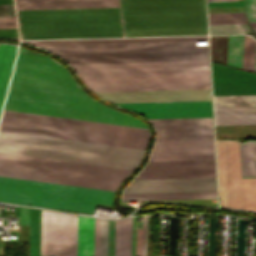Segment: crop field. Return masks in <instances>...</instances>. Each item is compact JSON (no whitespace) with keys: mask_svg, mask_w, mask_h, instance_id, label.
I'll list each match as a JSON object with an SVG mask.
<instances>
[{"mask_svg":"<svg viewBox=\"0 0 256 256\" xmlns=\"http://www.w3.org/2000/svg\"><path fill=\"white\" fill-rule=\"evenodd\" d=\"M136 256H141V228H137Z\"/></svg>","mask_w":256,"mask_h":256,"instance_id":"obj_32","label":"crop field"},{"mask_svg":"<svg viewBox=\"0 0 256 256\" xmlns=\"http://www.w3.org/2000/svg\"><path fill=\"white\" fill-rule=\"evenodd\" d=\"M216 191L215 178L133 180L124 193Z\"/></svg>","mask_w":256,"mask_h":256,"instance_id":"obj_12","label":"crop field"},{"mask_svg":"<svg viewBox=\"0 0 256 256\" xmlns=\"http://www.w3.org/2000/svg\"><path fill=\"white\" fill-rule=\"evenodd\" d=\"M132 217L115 221V256H130Z\"/></svg>","mask_w":256,"mask_h":256,"instance_id":"obj_17","label":"crop field"},{"mask_svg":"<svg viewBox=\"0 0 256 256\" xmlns=\"http://www.w3.org/2000/svg\"><path fill=\"white\" fill-rule=\"evenodd\" d=\"M216 198V192L123 194V200H169Z\"/></svg>","mask_w":256,"mask_h":256,"instance_id":"obj_15","label":"crop field"},{"mask_svg":"<svg viewBox=\"0 0 256 256\" xmlns=\"http://www.w3.org/2000/svg\"><path fill=\"white\" fill-rule=\"evenodd\" d=\"M244 209L256 211V178H242Z\"/></svg>","mask_w":256,"mask_h":256,"instance_id":"obj_23","label":"crop field"},{"mask_svg":"<svg viewBox=\"0 0 256 256\" xmlns=\"http://www.w3.org/2000/svg\"><path fill=\"white\" fill-rule=\"evenodd\" d=\"M245 11L249 21H256V0H246Z\"/></svg>","mask_w":256,"mask_h":256,"instance_id":"obj_28","label":"crop field"},{"mask_svg":"<svg viewBox=\"0 0 256 256\" xmlns=\"http://www.w3.org/2000/svg\"><path fill=\"white\" fill-rule=\"evenodd\" d=\"M253 30V32L256 34V29H252Z\"/></svg>","mask_w":256,"mask_h":256,"instance_id":"obj_35","label":"crop field"},{"mask_svg":"<svg viewBox=\"0 0 256 256\" xmlns=\"http://www.w3.org/2000/svg\"><path fill=\"white\" fill-rule=\"evenodd\" d=\"M210 34L250 33L247 24L209 25Z\"/></svg>","mask_w":256,"mask_h":256,"instance_id":"obj_26","label":"crop field"},{"mask_svg":"<svg viewBox=\"0 0 256 256\" xmlns=\"http://www.w3.org/2000/svg\"><path fill=\"white\" fill-rule=\"evenodd\" d=\"M248 36H244L242 68L246 70ZM256 41L249 36L247 70L255 72Z\"/></svg>","mask_w":256,"mask_h":256,"instance_id":"obj_24","label":"crop field"},{"mask_svg":"<svg viewBox=\"0 0 256 256\" xmlns=\"http://www.w3.org/2000/svg\"><path fill=\"white\" fill-rule=\"evenodd\" d=\"M215 177L214 160L148 162L135 179Z\"/></svg>","mask_w":256,"mask_h":256,"instance_id":"obj_6","label":"crop field"},{"mask_svg":"<svg viewBox=\"0 0 256 256\" xmlns=\"http://www.w3.org/2000/svg\"><path fill=\"white\" fill-rule=\"evenodd\" d=\"M147 216L143 217L142 256H146Z\"/></svg>","mask_w":256,"mask_h":256,"instance_id":"obj_31","label":"crop field"},{"mask_svg":"<svg viewBox=\"0 0 256 256\" xmlns=\"http://www.w3.org/2000/svg\"><path fill=\"white\" fill-rule=\"evenodd\" d=\"M207 40L206 36L25 41L31 44Z\"/></svg>","mask_w":256,"mask_h":256,"instance_id":"obj_14","label":"crop field"},{"mask_svg":"<svg viewBox=\"0 0 256 256\" xmlns=\"http://www.w3.org/2000/svg\"><path fill=\"white\" fill-rule=\"evenodd\" d=\"M147 118L212 117L211 101L116 104Z\"/></svg>","mask_w":256,"mask_h":256,"instance_id":"obj_8","label":"crop field"},{"mask_svg":"<svg viewBox=\"0 0 256 256\" xmlns=\"http://www.w3.org/2000/svg\"><path fill=\"white\" fill-rule=\"evenodd\" d=\"M15 46L0 44V111L12 68L15 52Z\"/></svg>","mask_w":256,"mask_h":256,"instance_id":"obj_16","label":"crop field"},{"mask_svg":"<svg viewBox=\"0 0 256 256\" xmlns=\"http://www.w3.org/2000/svg\"><path fill=\"white\" fill-rule=\"evenodd\" d=\"M78 256H93V218L78 216Z\"/></svg>","mask_w":256,"mask_h":256,"instance_id":"obj_18","label":"crop field"},{"mask_svg":"<svg viewBox=\"0 0 256 256\" xmlns=\"http://www.w3.org/2000/svg\"><path fill=\"white\" fill-rule=\"evenodd\" d=\"M251 28H256V23L255 22H249Z\"/></svg>","mask_w":256,"mask_h":256,"instance_id":"obj_33","label":"crop field"},{"mask_svg":"<svg viewBox=\"0 0 256 256\" xmlns=\"http://www.w3.org/2000/svg\"><path fill=\"white\" fill-rule=\"evenodd\" d=\"M243 35L229 36L228 65L241 68Z\"/></svg>","mask_w":256,"mask_h":256,"instance_id":"obj_22","label":"crop field"},{"mask_svg":"<svg viewBox=\"0 0 256 256\" xmlns=\"http://www.w3.org/2000/svg\"><path fill=\"white\" fill-rule=\"evenodd\" d=\"M242 177H256V141L240 143Z\"/></svg>","mask_w":256,"mask_h":256,"instance_id":"obj_19","label":"crop field"},{"mask_svg":"<svg viewBox=\"0 0 256 256\" xmlns=\"http://www.w3.org/2000/svg\"><path fill=\"white\" fill-rule=\"evenodd\" d=\"M243 6V1L208 2V7Z\"/></svg>","mask_w":256,"mask_h":256,"instance_id":"obj_29","label":"crop field"},{"mask_svg":"<svg viewBox=\"0 0 256 256\" xmlns=\"http://www.w3.org/2000/svg\"><path fill=\"white\" fill-rule=\"evenodd\" d=\"M17 9L119 7L118 0H15Z\"/></svg>","mask_w":256,"mask_h":256,"instance_id":"obj_13","label":"crop field"},{"mask_svg":"<svg viewBox=\"0 0 256 256\" xmlns=\"http://www.w3.org/2000/svg\"><path fill=\"white\" fill-rule=\"evenodd\" d=\"M12 89L89 98L59 63L19 53ZM9 89L7 110L136 127L143 122L94 100ZM4 110L0 130L145 149L144 128ZM0 131V152L133 170L145 150ZM0 153V176L115 191L131 172ZM0 177V201L93 213L112 206L113 193Z\"/></svg>","mask_w":256,"mask_h":256,"instance_id":"obj_1","label":"crop field"},{"mask_svg":"<svg viewBox=\"0 0 256 256\" xmlns=\"http://www.w3.org/2000/svg\"><path fill=\"white\" fill-rule=\"evenodd\" d=\"M40 210L30 208L29 256H39Z\"/></svg>","mask_w":256,"mask_h":256,"instance_id":"obj_21","label":"crop field"},{"mask_svg":"<svg viewBox=\"0 0 256 256\" xmlns=\"http://www.w3.org/2000/svg\"><path fill=\"white\" fill-rule=\"evenodd\" d=\"M210 24L246 23L243 13L209 14Z\"/></svg>","mask_w":256,"mask_h":256,"instance_id":"obj_25","label":"crop field"},{"mask_svg":"<svg viewBox=\"0 0 256 256\" xmlns=\"http://www.w3.org/2000/svg\"><path fill=\"white\" fill-rule=\"evenodd\" d=\"M220 207L243 209L239 141L216 140Z\"/></svg>","mask_w":256,"mask_h":256,"instance_id":"obj_5","label":"crop field"},{"mask_svg":"<svg viewBox=\"0 0 256 256\" xmlns=\"http://www.w3.org/2000/svg\"><path fill=\"white\" fill-rule=\"evenodd\" d=\"M99 219L94 218V256H98Z\"/></svg>","mask_w":256,"mask_h":256,"instance_id":"obj_30","label":"crop field"},{"mask_svg":"<svg viewBox=\"0 0 256 256\" xmlns=\"http://www.w3.org/2000/svg\"><path fill=\"white\" fill-rule=\"evenodd\" d=\"M157 140L213 139L212 118L149 119Z\"/></svg>","mask_w":256,"mask_h":256,"instance_id":"obj_7","label":"crop field"},{"mask_svg":"<svg viewBox=\"0 0 256 256\" xmlns=\"http://www.w3.org/2000/svg\"><path fill=\"white\" fill-rule=\"evenodd\" d=\"M108 220L100 219L99 256H107Z\"/></svg>","mask_w":256,"mask_h":256,"instance_id":"obj_27","label":"crop field"},{"mask_svg":"<svg viewBox=\"0 0 256 256\" xmlns=\"http://www.w3.org/2000/svg\"><path fill=\"white\" fill-rule=\"evenodd\" d=\"M256 138V125L216 126V138Z\"/></svg>","mask_w":256,"mask_h":256,"instance_id":"obj_20","label":"crop field"},{"mask_svg":"<svg viewBox=\"0 0 256 256\" xmlns=\"http://www.w3.org/2000/svg\"><path fill=\"white\" fill-rule=\"evenodd\" d=\"M40 256H77V216L41 210Z\"/></svg>","mask_w":256,"mask_h":256,"instance_id":"obj_4","label":"crop field"},{"mask_svg":"<svg viewBox=\"0 0 256 256\" xmlns=\"http://www.w3.org/2000/svg\"><path fill=\"white\" fill-rule=\"evenodd\" d=\"M68 64L208 60L207 46L186 42L36 45Z\"/></svg>","mask_w":256,"mask_h":256,"instance_id":"obj_3","label":"crop field"},{"mask_svg":"<svg viewBox=\"0 0 256 256\" xmlns=\"http://www.w3.org/2000/svg\"><path fill=\"white\" fill-rule=\"evenodd\" d=\"M111 103L211 100L210 89L96 93Z\"/></svg>","mask_w":256,"mask_h":256,"instance_id":"obj_11","label":"crop field"},{"mask_svg":"<svg viewBox=\"0 0 256 256\" xmlns=\"http://www.w3.org/2000/svg\"><path fill=\"white\" fill-rule=\"evenodd\" d=\"M208 1H222V0H208Z\"/></svg>","mask_w":256,"mask_h":256,"instance_id":"obj_34","label":"crop field"},{"mask_svg":"<svg viewBox=\"0 0 256 256\" xmlns=\"http://www.w3.org/2000/svg\"><path fill=\"white\" fill-rule=\"evenodd\" d=\"M71 66L92 92L210 88L208 61Z\"/></svg>","mask_w":256,"mask_h":256,"instance_id":"obj_2","label":"crop field"},{"mask_svg":"<svg viewBox=\"0 0 256 256\" xmlns=\"http://www.w3.org/2000/svg\"><path fill=\"white\" fill-rule=\"evenodd\" d=\"M216 125L256 124V95L214 96Z\"/></svg>","mask_w":256,"mask_h":256,"instance_id":"obj_10","label":"crop field"},{"mask_svg":"<svg viewBox=\"0 0 256 256\" xmlns=\"http://www.w3.org/2000/svg\"><path fill=\"white\" fill-rule=\"evenodd\" d=\"M214 159L213 140L156 141L149 161Z\"/></svg>","mask_w":256,"mask_h":256,"instance_id":"obj_9","label":"crop field"}]
</instances>
